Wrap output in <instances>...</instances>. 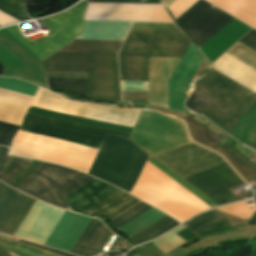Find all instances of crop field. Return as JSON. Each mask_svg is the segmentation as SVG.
<instances>
[{"label":"crop field","instance_id":"obj_1","mask_svg":"<svg viewBox=\"0 0 256 256\" xmlns=\"http://www.w3.org/2000/svg\"><path fill=\"white\" fill-rule=\"evenodd\" d=\"M19 130L64 139L96 150L105 134L126 139L130 135L74 124L29 112H26ZM108 135L105 136L87 173L129 193L148 154L129 140ZM147 161L209 206H217L152 157L148 156ZM149 162H146L130 194L171 215L180 222L210 208Z\"/></svg>","mask_w":256,"mask_h":256},{"label":"crop field","instance_id":"obj_2","mask_svg":"<svg viewBox=\"0 0 256 256\" xmlns=\"http://www.w3.org/2000/svg\"><path fill=\"white\" fill-rule=\"evenodd\" d=\"M129 140L152 157L191 143L183 122L144 110ZM154 158L182 178L225 163L222 157L193 143ZM184 179L219 205L239 200L228 189L244 184L227 163Z\"/></svg>","mask_w":256,"mask_h":256},{"label":"crop field","instance_id":"obj_3","mask_svg":"<svg viewBox=\"0 0 256 256\" xmlns=\"http://www.w3.org/2000/svg\"><path fill=\"white\" fill-rule=\"evenodd\" d=\"M184 34L128 33L118 55L121 80L147 81L148 57L182 58Z\"/></svg>","mask_w":256,"mask_h":256},{"label":"crop field","instance_id":"obj_4","mask_svg":"<svg viewBox=\"0 0 256 256\" xmlns=\"http://www.w3.org/2000/svg\"><path fill=\"white\" fill-rule=\"evenodd\" d=\"M44 72L87 73V96L120 100L116 55L55 53Z\"/></svg>","mask_w":256,"mask_h":256},{"label":"crop field","instance_id":"obj_5","mask_svg":"<svg viewBox=\"0 0 256 256\" xmlns=\"http://www.w3.org/2000/svg\"><path fill=\"white\" fill-rule=\"evenodd\" d=\"M195 89L215 99L201 114L228 131L256 100L254 93L213 69Z\"/></svg>","mask_w":256,"mask_h":256},{"label":"crop field","instance_id":"obj_6","mask_svg":"<svg viewBox=\"0 0 256 256\" xmlns=\"http://www.w3.org/2000/svg\"><path fill=\"white\" fill-rule=\"evenodd\" d=\"M86 7L87 3L82 1L59 15L42 19L50 32L47 37L34 41L26 38L18 30V25L6 29L41 61L67 45L79 34L85 24L82 18Z\"/></svg>","mask_w":256,"mask_h":256},{"label":"crop field","instance_id":"obj_7","mask_svg":"<svg viewBox=\"0 0 256 256\" xmlns=\"http://www.w3.org/2000/svg\"><path fill=\"white\" fill-rule=\"evenodd\" d=\"M116 189L94 178L64 197L72 211L80 213ZM125 193L118 189L83 212H98L111 220L141 202Z\"/></svg>","mask_w":256,"mask_h":256},{"label":"crop field","instance_id":"obj_8","mask_svg":"<svg viewBox=\"0 0 256 256\" xmlns=\"http://www.w3.org/2000/svg\"><path fill=\"white\" fill-rule=\"evenodd\" d=\"M84 20L172 23L162 5L90 3Z\"/></svg>","mask_w":256,"mask_h":256},{"label":"crop field","instance_id":"obj_9","mask_svg":"<svg viewBox=\"0 0 256 256\" xmlns=\"http://www.w3.org/2000/svg\"><path fill=\"white\" fill-rule=\"evenodd\" d=\"M77 172L43 163L19 190L66 209L68 205L56 186Z\"/></svg>","mask_w":256,"mask_h":256},{"label":"crop field","instance_id":"obj_10","mask_svg":"<svg viewBox=\"0 0 256 256\" xmlns=\"http://www.w3.org/2000/svg\"><path fill=\"white\" fill-rule=\"evenodd\" d=\"M34 202L0 183V232L14 235Z\"/></svg>","mask_w":256,"mask_h":256},{"label":"crop field","instance_id":"obj_11","mask_svg":"<svg viewBox=\"0 0 256 256\" xmlns=\"http://www.w3.org/2000/svg\"><path fill=\"white\" fill-rule=\"evenodd\" d=\"M203 58L204 57L191 42L169 81V108L187 111L183 107L184 101L182 99V93L195 74Z\"/></svg>","mask_w":256,"mask_h":256},{"label":"crop field","instance_id":"obj_12","mask_svg":"<svg viewBox=\"0 0 256 256\" xmlns=\"http://www.w3.org/2000/svg\"><path fill=\"white\" fill-rule=\"evenodd\" d=\"M178 118H181L186 122L192 140L200 145L211 148L220 153L227 160V162L238 172V174L246 181L256 175V171L254 169H252L250 166H248L246 163L241 161L230 152L222 149L217 145L220 137H218L217 135H215L188 116H181Z\"/></svg>","mask_w":256,"mask_h":256},{"label":"crop field","instance_id":"obj_13","mask_svg":"<svg viewBox=\"0 0 256 256\" xmlns=\"http://www.w3.org/2000/svg\"><path fill=\"white\" fill-rule=\"evenodd\" d=\"M89 221L90 218L65 211L45 245L70 252Z\"/></svg>","mask_w":256,"mask_h":256},{"label":"crop field","instance_id":"obj_14","mask_svg":"<svg viewBox=\"0 0 256 256\" xmlns=\"http://www.w3.org/2000/svg\"><path fill=\"white\" fill-rule=\"evenodd\" d=\"M233 18L211 5L184 30L199 48Z\"/></svg>","mask_w":256,"mask_h":256},{"label":"crop field","instance_id":"obj_15","mask_svg":"<svg viewBox=\"0 0 256 256\" xmlns=\"http://www.w3.org/2000/svg\"><path fill=\"white\" fill-rule=\"evenodd\" d=\"M109 230L99 221L91 219L86 229L71 250L80 256H93L109 234Z\"/></svg>","mask_w":256,"mask_h":256},{"label":"crop field","instance_id":"obj_16","mask_svg":"<svg viewBox=\"0 0 256 256\" xmlns=\"http://www.w3.org/2000/svg\"><path fill=\"white\" fill-rule=\"evenodd\" d=\"M0 88L34 96L38 86L15 79L0 77ZM10 124V123H9ZM0 122V144L10 146V142L18 129L17 126Z\"/></svg>","mask_w":256,"mask_h":256},{"label":"crop field","instance_id":"obj_17","mask_svg":"<svg viewBox=\"0 0 256 256\" xmlns=\"http://www.w3.org/2000/svg\"><path fill=\"white\" fill-rule=\"evenodd\" d=\"M256 28V0H207Z\"/></svg>","mask_w":256,"mask_h":256},{"label":"crop field","instance_id":"obj_18","mask_svg":"<svg viewBox=\"0 0 256 256\" xmlns=\"http://www.w3.org/2000/svg\"><path fill=\"white\" fill-rule=\"evenodd\" d=\"M122 41L75 39L58 52L116 54Z\"/></svg>","mask_w":256,"mask_h":256},{"label":"crop field","instance_id":"obj_19","mask_svg":"<svg viewBox=\"0 0 256 256\" xmlns=\"http://www.w3.org/2000/svg\"><path fill=\"white\" fill-rule=\"evenodd\" d=\"M8 150L0 146V180L9 185L32 160L6 156Z\"/></svg>","mask_w":256,"mask_h":256},{"label":"crop field","instance_id":"obj_20","mask_svg":"<svg viewBox=\"0 0 256 256\" xmlns=\"http://www.w3.org/2000/svg\"><path fill=\"white\" fill-rule=\"evenodd\" d=\"M250 146L256 137V102L229 131Z\"/></svg>","mask_w":256,"mask_h":256},{"label":"crop field","instance_id":"obj_21","mask_svg":"<svg viewBox=\"0 0 256 256\" xmlns=\"http://www.w3.org/2000/svg\"><path fill=\"white\" fill-rule=\"evenodd\" d=\"M178 224L179 223H177L176 221H174L173 219L166 215L161 219L157 220L156 222L152 223L148 227L144 228L143 230L139 231L135 235L131 236L130 240L135 245H137L139 243L146 242L155 238L156 236L160 235L161 233Z\"/></svg>","mask_w":256,"mask_h":256},{"label":"crop field","instance_id":"obj_22","mask_svg":"<svg viewBox=\"0 0 256 256\" xmlns=\"http://www.w3.org/2000/svg\"><path fill=\"white\" fill-rule=\"evenodd\" d=\"M10 1L24 7L23 3L25 0H10ZM10 1L0 0V11L4 12L20 21L29 19L24 8L18 6ZM2 12H0V26L19 22L18 20L14 19Z\"/></svg>","mask_w":256,"mask_h":256},{"label":"crop field","instance_id":"obj_23","mask_svg":"<svg viewBox=\"0 0 256 256\" xmlns=\"http://www.w3.org/2000/svg\"><path fill=\"white\" fill-rule=\"evenodd\" d=\"M164 215L165 214L160 211L152 208L116 230L120 232L123 231L124 234L129 237Z\"/></svg>","mask_w":256,"mask_h":256},{"label":"crop field","instance_id":"obj_24","mask_svg":"<svg viewBox=\"0 0 256 256\" xmlns=\"http://www.w3.org/2000/svg\"><path fill=\"white\" fill-rule=\"evenodd\" d=\"M47 82L52 89L86 96V80L47 78Z\"/></svg>","mask_w":256,"mask_h":256},{"label":"crop field","instance_id":"obj_25","mask_svg":"<svg viewBox=\"0 0 256 256\" xmlns=\"http://www.w3.org/2000/svg\"><path fill=\"white\" fill-rule=\"evenodd\" d=\"M224 221H226V220L223 219L222 217H220L219 215L209 211V212L197 217L196 219L192 220L185 226L187 228H189L190 230H192L194 233H196L198 231H201L203 229L214 226V225L219 224Z\"/></svg>","mask_w":256,"mask_h":256},{"label":"crop field","instance_id":"obj_26","mask_svg":"<svg viewBox=\"0 0 256 256\" xmlns=\"http://www.w3.org/2000/svg\"><path fill=\"white\" fill-rule=\"evenodd\" d=\"M130 32L182 33L174 24L134 23Z\"/></svg>","mask_w":256,"mask_h":256},{"label":"crop field","instance_id":"obj_27","mask_svg":"<svg viewBox=\"0 0 256 256\" xmlns=\"http://www.w3.org/2000/svg\"><path fill=\"white\" fill-rule=\"evenodd\" d=\"M226 53L256 69V52L244 46L243 44L238 42Z\"/></svg>","mask_w":256,"mask_h":256},{"label":"crop field","instance_id":"obj_28","mask_svg":"<svg viewBox=\"0 0 256 256\" xmlns=\"http://www.w3.org/2000/svg\"><path fill=\"white\" fill-rule=\"evenodd\" d=\"M210 5L211 4H209L203 0H199L189 10H187L181 17H179L176 21L184 29L187 25H189L197 16H199Z\"/></svg>","mask_w":256,"mask_h":256},{"label":"crop field","instance_id":"obj_29","mask_svg":"<svg viewBox=\"0 0 256 256\" xmlns=\"http://www.w3.org/2000/svg\"><path fill=\"white\" fill-rule=\"evenodd\" d=\"M214 99L194 90L186 100L185 106L193 111L201 113Z\"/></svg>","mask_w":256,"mask_h":256},{"label":"crop field","instance_id":"obj_30","mask_svg":"<svg viewBox=\"0 0 256 256\" xmlns=\"http://www.w3.org/2000/svg\"><path fill=\"white\" fill-rule=\"evenodd\" d=\"M150 208L152 207L141 202L136 206H134L133 208L129 209L128 211L124 212L123 214L119 215L115 219L111 220V222L115 224V229H116L121 225L125 224L126 222L130 221L131 219L142 214L143 212L147 211Z\"/></svg>","mask_w":256,"mask_h":256},{"label":"crop field","instance_id":"obj_31","mask_svg":"<svg viewBox=\"0 0 256 256\" xmlns=\"http://www.w3.org/2000/svg\"><path fill=\"white\" fill-rule=\"evenodd\" d=\"M92 178L93 177H90L88 175H85V174H82L79 172L57 187L64 196V195L68 194L69 192H71L72 190L76 189L77 187L81 186L82 184L86 183L87 181H89Z\"/></svg>","mask_w":256,"mask_h":256},{"label":"crop field","instance_id":"obj_32","mask_svg":"<svg viewBox=\"0 0 256 256\" xmlns=\"http://www.w3.org/2000/svg\"><path fill=\"white\" fill-rule=\"evenodd\" d=\"M254 209L248 210L245 202L243 201V202H240V203L228 205V206H225L223 208H218V209H215V210L225 212L229 215L236 216L240 219H246V218H249L251 216Z\"/></svg>","mask_w":256,"mask_h":256},{"label":"crop field","instance_id":"obj_33","mask_svg":"<svg viewBox=\"0 0 256 256\" xmlns=\"http://www.w3.org/2000/svg\"><path fill=\"white\" fill-rule=\"evenodd\" d=\"M197 1L198 0H176L171 6L168 7V9L176 20Z\"/></svg>","mask_w":256,"mask_h":256},{"label":"crop field","instance_id":"obj_34","mask_svg":"<svg viewBox=\"0 0 256 256\" xmlns=\"http://www.w3.org/2000/svg\"><path fill=\"white\" fill-rule=\"evenodd\" d=\"M122 100L147 101V92L122 91Z\"/></svg>","mask_w":256,"mask_h":256},{"label":"crop field","instance_id":"obj_35","mask_svg":"<svg viewBox=\"0 0 256 256\" xmlns=\"http://www.w3.org/2000/svg\"><path fill=\"white\" fill-rule=\"evenodd\" d=\"M239 42L256 51V31L252 30Z\"/></svg>","mask_w":256,"mask_h":256},{"label":"crop field","instance_id":"obj_36","mask_svg":"<svg viewBox=\"0 0 256 256\" xmlns=\"http://www.w3.org/2000/svg\"><path fill=\"white\" fill-rule=\"evenodd\" d=\"M89 2L140 3L144 0H88ZM160 2V1H159ZM158 0H145L144 4H159Z\"/></svg>","mask_w":256,"mask_h":256},{"label":"crop field","instance_id":"obj_37","mask_svg":"<svg viewBox=\"0 0 256 256\" xmlns=\"http://www.w3.org/2000/svg\"><path fill=\"white\" fill-rule=\"evenodd\" d=\"M222 143H224V144L230 146L231 148L235 149L236 151L242 153L243 155H245V156H247V157H248V156L250 155V153L252 152V151L246 149L245 147H243L242 145H240V144H238V143H236V142H234V141H230V140L223 139Z\"/></svg>","mask_w":256,"mask_h":256},{"label":"crop field","instance_id":"obj_38","mask_svg":"<svg viewBox=\"0 0 256 256\" xmlns=\"http://www.w3.org/2000/svg\"><path fill=\"white\" fill-rule=\"evenodd\" d=\"M46 77L86 79V74L44 73Z\"/></svg>","mask_w":256,"mask_h":256},{"label":"crop field","instance_id":"obj_39","mask_svg":"<svg viewBox=\"0 0 256 256\" xmlns=\"http://www.w3.org/2000/svg\"><path fill=\"white\" fill-rule=\"evenodd\" d=\"M131 246H129L124 240L120 238H116V240L113 242V244L110 246L108 250H123L126 251Z\"/></svg>","mask_w":256,"mask_h":256},{"label":"crop field","instance_id":"obj_40","mask_svg":"<svg viewBox=\"0 0 256 256\" xmlns=\"http://www.w3.org/2000/svg\"><path fill=\"white\" fill-rule=\"evenodd\" d=\"M230 226H231L230 223H229L228 221H226V222L221 223V224H219V225H217V226H214V227L209 228V229H207V230H204V231H201V232H199V233H196V235L201 236V235H205V234H207V233L217 232V231H220V230H222V229L228 228V227H230Z\"/></svg>","mask_w":256,"mask_h":256},{"label":"crop field","instance_id":"obj_41","mask_svg":"<svg viewBox=\"0 0 256 256\" xmlns=\"http://www.w3.org/2000/svg\"><path fill=\"white\" fill-rule=\"evenodd\" d=\"M18 242L22 243V244L32 246V247H35V248H38V249H42V250H45V251H48V252H51V253H54V254H58V255H61V256H73V255H69V254H66V253H63V252L52 250V249H49V248H46V247H42V246H39V245H36V244H32V243H29V242H26V241L19 240Z\"/></svg>","mask_w":256,"mask_h":256},{"label":"crop field","instance_id":"obj_42","mask_svg":"<svg viewBox=\"0 0 256 256\" xmlns=\"http://www.w3.org/2000/svg\"><path fill=\"white\" fill-rule=\"evenodd\" d=\"M13 249L25 254V255H28V256H44V255H41V254H38V253H35V252H32V251H29V250H26V249H23V248H20V247H17L15 246Z\"/></svg>","mask_w":256,"mask_h":256},{"label":"crop field","instance_id":"obj_43","mask_svg":"<svg viewBox=\"0 0 256 256\" xmlns=\"http://www.w3.org/2000/svg\"><path fill=\"white\" fill-rule=\"evenodd\" d=\"M17 246H20V247H23V248H26V249H29V250H32V251H35V252L44 254V255H48V256H57V255H54V254H51V253H48V252H45V251H41V250H38V249H35V248H32V247H29V246H25V245H22V244H19V243H17Z\"/></svg>","mask_w":256,"mask_h":256},{"label":"crop field","instance_id":"obj_44","mask_svg":"<svg viewBox=\"0 0 256 256\" xmlns=\"http://www.w3.org/2000/svg\"><path fill=\"white\" fill-rule=\"evenodd\" d=\"M207 67H208V64H207V62H206V60H205V58H204L203 62L201 63L199 69H198L197 72H196V75L202 76V74H203L204 71L207 69Z\"/></svg>","mask_w":256,"mask_h":256},{"label":"crop field","instance_id":"obj_45","mask_svg":"<svg viewBox=\"0 0 256 256\" xmlns=\"http://www.w3.org/2000/svg\"><path fill=\"white\" fill-rule=\"evenodd\" d=\"M221 145L225 146L227 149H229L230 151H232L233 153H235L237 156H239L240 158H242L244 161H246L247 163H249L251 166L256 168V165L252 164L251 162L247 161L241 154L237 153L236 151L232 150L231 148H229L228 146L224 145L221 143Z\"/></svg>","mask_w":256,"mask_h":256},{"label":"crop field","instance_id":"obj_46","mask_svg":"<svg viewBox=\"0 0 256 256\" xmlns=\"http://www.w3.org/2000/svg\"><path fill=\"white\" fill-rule=\"evenodd\" d=\"M12 245H9V244H5V243H2L0 242V248L6 250L9 252V250L11 249Z\"/></svg>","mask_w":256,"mask_h":256},{"label":"crop field","instance_id":"obj_47","mask_svg":"<svg viewBox=\"0 0 256 256\" xmlns=\"http://www.w3.org/2000/svg\"><path fill=\"white\" fill-rule=\"evenodd\" d=\"M248 224H256V212H255V214L252 216V218L249 220Z\"/></svg>","mask_w":256,"mask_h":256},{"label":"crop field","instance_id":"obj_48","mask_svg":"<svg viewBox=\"0 0 256 256\" xmlns=\"http://www.w3.org/2000/svg\"><path fill=\"white\" fill-rule=\"evenodd\" d=\"M173 1H175V0H162V2H163V4H164L165 8H166L168 5H170Z\"/></svg>","mask_w":256,"mask_h":256},{"label":"crop field","instance_id":"obj_49","mask_svg":"<svg viewBox=\"0 0 256 256\" xmlns=\"http://www.w3.org/2000/svg\"><path fill=\"white\" fill-rule=\"evenodd\" d=\"M0 240L15 244V241H11V240L4 239V238H1V237H0Z\"/></svg>","mask_w":256,"mask_h":256},{"label":"crop field","instance_id":"obj_50","mask_svg":"<svg viewBox=\"0 0 256 256\" xmlns=\"http://www.w3.org/2000/svg\"><path fill=\"white\" fill-rule=\"evenodd\" d=\"M251 147H253V148L256 149V138H255V140L253 141V143L251 144Z\"/></svg>","mask_w":256,"mask_h":256},{"label":"crop field","instance_id":"obj_51","mask_svg":"<svg viewBox=\"0 0 256 256\" xmlns=\"http://www.w3.org/2000/svg\"><path fill=\"white\" fill-rule=\"evenodd\" d=\"M108 256H114L116 254H119V253H106Z\"/></svg>","mask_w":256,"mask_h":256},{"label":"crop field","instance_id":"obj_52","mask_svg":"<svg viewBox=\"0 0 256 256\" xmlns=\"http://www.w3.org/2000/svg\"><path fill=\"white\" fill-rule=\"evenodd\" d=\"M2 69H3V66L0 64V76L2 74Z\"/></svg>","mask_w":256,"mask_h":256},{"label":"crop field","instance_id":"obj_53","mask_svg":"<svg viewBox=\"0 0 256 256\" xmlns=\"http://www.w3.org/2000/svg\"><path fill=\"white\" fill-rule=\"evenodd\" d=\"M9 254L11 255V256H16L15 254H13L11 251L9 252Z\"/></svg>","mask_w":256,"mask_h":256}]
</instances>
